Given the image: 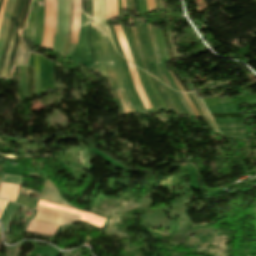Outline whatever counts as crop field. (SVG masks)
Here are the masks:
<instances>
[{
    "mask_svg": "<svg viewBox=\"0 0 256 256\" xmlns=\"http://www.w3.org/2000/svg\"><path fill=\"white\" fill-rule=\"evenodd\" d=\"M34 220L41 221V222L48 223V224L57 225V226H60L63 224H68V223H73V222H78L76 220L53 216V215H49V214H44V213H40L38 211H37V214H36Z\"/></svg>",
    "mask_w": 256,
    "mask_h": 256,
    "instance_id": "e52e79f7",
    "label": "crop field"
},
{
    "mask_svg": "<svg viewBox=\"0 0 256 256\" xmlns=\"http://www.w3.org/2000/svg\"><path fill=\"white\" fill-rule=\"evenodd\" d=\"M151 3H152V10H153V11L156 10L154 0H151Z\"/></svg>",
    "mask_w": 256,
    "mask_h": 256,
    "instance_id": "1d83c4d3",
    "label": "crop field"
},
{
    "mask_svg": "<svg viewBox=\"0 0 256 256\" xmlns=\"http://www.w3.org/2000/svg\"><path fill=\"white\" fill-rule=\"evenodd\" d=\"M72 22H73V0H70V17H69V29H68V37H67V43H66V48L63 56L65 57L70 41H71V35H72Z\"/></svg>",
    "mask_w": 256,
    "mask_h": 256,
    "instance_id": "d9b57169",
    "label": "crop field"
},
{
    "mask_svg": "<svg viewBox=\"0 0 256 256\" xmlns=\"http://www.w3.org/2000/svg\"><path fill=\"white\" fill-rule=\"evenodd\" d=\"M170 74H171V77H172L173 81L175 82L177 87L180 89V91H183L181 86H180V84H179V82H178V80L176 79L175 75L173 74V72H170Z\"/></svg>",
    "mask_w": 256,
    "mask_h": 256,
    "instance_id": "eef30255",
    "label": "crop field"
},
{
    "mask_svg": "<svg viewBox=\"0 0 256 256\" xmlns=\"http://www.w3.org/2000/svg\"><path fill=\"white\" fill-rule=\"evenodd\" d=\"M91 36L94 51L96 53L98 72L103 76H111L116 88L118 97L121 101L122 109L125 114L135 112L128 97L123 89L121 78L115 65L114 57L111 52L108 38L98 28L91 23Z\"/></svg>",
    "mask_w": 256,
    "mask_h": 256,
    "instance_id": "8a807250",
    "label": "crop field"
},
{
    "mask_svg": "<svg viewBox=\"0 0 256 256\" xmlns=\"http://www.w3.org/2000/svg\"><path fill=\"white\" fill-rule=\"evenodd\" d=\"M7 204H8V202L6 201L5 204H4V206H3V208H2V210H1V212H0V217H1V214H2L4 208H5V206H6Z\"/></svg>",
    "mask_w": 256,
    "mask_h": 256,
    "instance_id": "120bbe31",
    "label": "crop field"
},
{
    "mask_svg": "<svg viewBox=\"0 0 256 256\" xmlns=\"http://www.w3.org/2000/svg\"><path fill=\"white\" fill-rule=\"evenodd\" d=\"M22 4H23V0H21L19 12H18V15H17V17H16V19H15V23H14V27H13L11 39H10L9 46H8V50H7V54H6V59H5V64H4V70H3L2 79H4L5 76H6L9 54H10V51H11V49H12V45H13V41H14V36H15L16 27H17V23H18V20H19V16H20Z\"/></svg>",
    "mask_w": 256,
    "mask_h": 256,
    "instance_id": "3316defc",
    "label": "crop field"
},
{
    "mask_svg": "<svg viewBox=\"0 0 256 256\" xmlns=\"http://www.w3.org/2000/svg\"><path fill=\"white\" fill-rule=\"evenodd\" d=\"M16 0H7V4L4 10L1 27H0V57L5 43L10 18L13 10V6Z\"/></svg>",
    "mask_w": 256,
    "mask_h": 256,
    "instance_id": "f4fd0767",
    "label": "crop field"
},
{
    "mask_svg": "<svg viewBox=\"0 0 256 256\" xmlns=\"http://www.w3.org/2000/svg\"><path fill=\"white\" fill-rule=\"evenodd\" d=\"M6 4V0L3 1L2 7H1V11H0V22H1V18H2V14H3V10Z\"/></svg>",
    "mask_w": 256,
    "mask_h": 256,
    "instance_id": "ae1a2a85",
    "label": "crop field"
},
{
    "mask_svg": "<svg viewBox=\"0 0 256 256\" xmlns=\"http://www.w3.org/2000/svg\"><path fill=\"white\" fill-rule=\"evenodd\" d=\"M86 35H87V45L91 54L93 66H94V72L97 71V65H96V59L95 54L93 52L92 43H91V37H90V20L86 18Z\"/></svg>",
    "mask_w": 256,
    "mask_h": 256,
    "instance_id": "22f410ed",
    "label": "crop field"
},
{
    "mask_svg": "<svg viewBox=\"0 0 256 256\" xmlns=\"http://www.w3.org/2000/svg\"><path fill=\"white\" fill-rule=\"evenodd\" d=\"M146 25L148 27V30H149V33H150V37H151V40H152V43H153V46H154L156 60H157V64H158L160 73H161V75H162L166 85H168V86H170L172 88L171 84L169 83V81H168V79H167V77H166V75H165V73H164V71H163V69L161 67L160 60H159V55H158V50H157V46H156V42H155V39H154V35H153V32H152L151 25H149V24H146Z\"/></svg>",
    "mask_w": 256,
    "mask_h": 256,
    "instance_id": "d1516ede",
    "label": "crop field"
},
{
    "mask_svg": "<svg viewBox=\"0 0 256 256\" xmlns=\"http://www.w3.org/2000/svg\"><path fill=\"white\" fill-rule=\"evenodd\" d=\"M131 29H132V32H133L134 37H135V41H136V44H137L138 51H139V53H140V57H141L143 69L146 71V67H145V63H144L143 56H142V53H141L140 45H139V42H138V39H137V35H136V33H135L134 28H131Z\"/></svg>",
    "mask_w": 256,
    "mask_h": 256,
    "instance_id": "a9b5d70f",
    "label": "crop field"
},
{
    "mask_svg": "<svg viewBox=\"0 0 256 256\" xmlns=\"http://www.w3.org/2000/svg\"><path fill=\"white\" fill-rule=\"evenodd\" d=\"M29 51L27 50L26 46L19 41L14 65H22L26 66L27 58H28Z\"/></svg>",
    "mask_w": 256,
    "mask_h": 256,
    "instance_id": "5a996713",
    "label": "crop field"
},
{
    "mask_svg": "<svg viewBox=\"0 0 256 256\" xmlns=\"http://www.w3.org/2000/svg\"><path fill=\"white\" fill-rule=\"evenodd\" d=\"M93 13H94V24L97 25L101 30H103L114 43L108 24L106 22L104 0H93Z\"/></svg>",
    "mask_w": 256,
    "mask_h": 256,
    "instance_id": "34b2d1b8",
    "label": "crop field"
},
{
    "mask_svg": "<svg viewBox=\"0 0 256 256\" xmlns=\"http://www.w3.org/2000/svg\"><path fill=\"white\" fill-rule=\"evenodd\" d=\"M18 207H19V205L12 204V203L9 202V204H8L4 214H3L2 220H1V223H2L3 228H4V233L8 232L9 225H10Z\"/></svg>",
    "mask_w": 256,
    "mask_h": 256,
    "instance_id": "d8731c3e",
    "label": "crop field"
},
{
    "mask_svg": "<svg viewBox=\"0 0 256 256\" xmlns=\"http://www.w3.org/2000/svg\"><path fill=\"white\" fill-rule=\"evenodd\" d=\"M150 78H151L153 84L155 85V87H156V89H157V91H158V93H159V95H160V97H161L163 103L165 104L167 110H168V111H172V109L170 108V106H169L168 103L166 102V100H165V98H164V96H163L161 90L159 89L158 85L156 84L154 78L151 77V76H150Z\"/></svg>",
    "mask_w": 256,
    "mask_h": 256,
    "instance_id": "214f88e0",
    "label": "crop field"
},
{
    "mask_svg": "<svg viewBox=\"0 0 256 256\" xmlns=\"http://www.w3.org/2000/svg\"><path fill=\"white\" fill-rule=\"evenodd\" d=\"M138 25H139V27H140V31H141V33H142V36H143V39H144V42H145V46H146L147 53H148V59H149V63H150V66H151L153 75H154V77L157 78L156 73H155V70H154V67H153V64H152V59H151L150 51H149L148 44H147V41H146V37H145V35H144L143 29H142V27H141V24H138Z\"/></svg>",
    "mask_w": 256,
    "mask_h": 256,
    "instance_id": "bc2a9ffb",
    "label": "crop field"
},
{
    "mask_svg": "<svg viewBox=\"0 0 256 256\" xmlns=\"http://www.w3.org/2000/svg\"><path fill=\"white\" fill-rule=\"evenodd\" d=\"M182 95L185 98L186 102L188 103L189 107L191 108L192 112L194 113L195 117H200L199 114L197 113V111L195 110V108L193 107V105L191 104L190 100L186 96V94L182 93Z\"/></svg>",
    "mask_w": 256,
    "mask_h": 256,
    "instance_id": "4177f3b9",
    "label": "crop field"
},
{
    "mask_svg": "<svg viewBox=\"0 0 256 256\" xmlns=\"http://www.w3.org/2000/svg\"><path fill=\"white\" fill-rule=\"evenodd\" d=\"M1 175V174H0Z\"/></svg>",
    "mask_w": 256,
    "mask_h": 256,
    "instance_id": "028f5c9d",
    "label": "crop field"
},
{
    "mask_svg": "<svg viewBox=\"0 0 256 256\" xmlns=\"http://www.w3.org/2000/svg\"><path fill=\"white\" fill-rule=\"evenodd\" d=\"M155 80H156V79H155ZM156 81H157V83L159 84V86H160V88H161L163 94L165 95V97H166V99H167L169 105L172 107V109H173V111L175 112V114H179L178 111L175 109V107H174L172 101L170 100L169 96L167 95L166 91L164 90V88H163L162 84L160 83V81H158V80H156Z\"/></svg>",
    "mask_w": 256,
    "mask_h": 256,
    "instance_id": "00972430",
    "label": "crop field"
},
{
    "mask_svg": "<svg viewBox=\"0 0 256 256\" xmlns=\"http://www.w3.org/2000/svg\"><path fill=\"white\" fill-rule=\"evenodd\" d=\"M41 200L49 201L52 203H55L57 205L73 208L75 210H79L65 202L64 199H62L56 190L54 184H52L49 180L46 181L45 186L43 188ZM81 211V210H79Z\"/></svg>",
    "mask_w": 256,
    "mask_h": 256,
    "instance_id": "412701ff",
    "label": "crop field"
},
{
    "mask_svg": "<svg viewBox=\"0 0 256 256\" xmlns=\"http://www.w3.org/2000/svg\"><path fill=\"white\" fill-rule=\"evenodd\" d=\"M22 179H23V177H20V176H12V175L3 174L1 181L21 185Z\"/></svg>",
    "mask_w": 256,
    "mask_h": 256,
    "instance_id": "4a817a6b",
    "label": "crop field"
},
{
    "mask_svg": "<svg viewBox=\"0 0 256 256\" xmlns=\"http://www.w3.org/2000/svg\"><path fill=\"white\" fill-rule=\"evenodd\" d=\"M19 2H20V0L16 1V5H15V8H14V12H13V15H12V19H11V23H10L7 39H6V44H5V47H4V50H3V54H2V58H1V63H0V79H1V76H2L4 58H5V54H6V50H7V46H8V42H9V38H10V34H11V30H12V26H13V22H14V19H15L16 15H17Z\"/></svg>",
    "mask_w": 256,
    "mask_h": 256,
    "instance_id": "28ad6ade",
    "label": "crop field"
},
{
    "mask_svg": "<svg viewBox=\"0 0 256 256\" xmlns=\"http://www.w3.org/2000/svg\"><path fill=\"white\" fill-rule=\"evenodd\" d=\"M90 19L93 21V14H92V0H90Z\"/></svg>",
    "mask_w": 256,
    "mask_h": 256,
    "instance_id": "750c4746",
    "label": "crop field"
},
{
    "mask_svg": "<svg viewBox=\"0 0 256 256\" xmlns=\"http://www.w3.org/2000/svg\"><path fill=\"white\" fill-rule=\"evenodd\" d=\"M2 1H3V0H0V7H1Z\"/></svg>",
    "mask_w": 256,
    "mask_h": 256,
    "instance_id": "5866460e",
    "label": "crop field"
},
{
    "mask_svg": "<svg viewBox=\"0 0 256 256\" xmlns=\"http://www.w3.org/2000/svg\"><path fill=\"white\" fill-rule=\"evenodd\" d=\"M81 10L89 18V0H81Z\"/></svg>",
    "mask_w": 256,
    "mask_h": 256,
    "instance_id": "dafd665d",
    "label": "crop field"
},
{
    "mask_svg": "<svg viewBox=\"0 0 256 256\" xmlns=\"http://www.w3.org/2000/svg\"><path fill=\"white\" fill-rule=\"evenodd\" d=\"M78 45H80L82 48H84L86 51H88L87 46H86V36H85V16L83 15L82 12H81V31H80Z\"/></svg>",
    "mask_w": 256,
    "mask_h": 256,
    "instance_id": "5142ce71",
    "label": "crop field"
},
{
    "mask_svg": "<svg viewBox=\"0 0 256 256\" xmlns=\"http://www.w3.org/2000/svg\"><path fill=\"white\" fill-rule=\"evenodd\" d=\"M111 19L117 17V0H110Z\"/></svg>",
    "mask_w": 256,
    "mask_h": 256,
    "instance_id": "92a150f3",
    "label": "crop field"
},
{
    "mask_svg": "<svg viewBox=\"0 0 256 256\" xmlns=\"http://www.w3.org/2000/svg\"><path fill=\"white\" fill-rule=\"evenodd\" d=\"M29 5H30V0H25L24 5H23V9H22V12H21V16H20L17 31L21 30V29H24V23L26 21ZM18 41H19V36L16 32L15 41H14V45H13V49H12V53H11V57H10V61H9V66H8V71H7L6 78H9V75H10V72H11V68H12L14 57H15Z\"/></svg>",
    "mask_w": 256,
    "mask_h": 256,
    "instance_id": "dd49c442",
    "label": "crop field"
},
{
    "mask_svg": "<svg viewBox=\"0 0 256 256\" xmlns=\"http://www.w3.org/2000/svg\"><path fill=\"white\" fill-rule=\"evenodd\" d=\"M134 5H135L136 14H138L139 13L138 0H134Z\"/></svg>",
    "mask_w": 256,
    "mask_h": 256,
    "instance_id": "d3111659",
    "label": "crop field"
},
{
    "mask_svg": "<svg viewBox=\"0 0 256 256\" xmlns=\"http://www.w3.org/2000/svg\"><path fill=\"white\" fill-rule=\"evenodd\" d=\"M135 29H136V32H137V35H138V38H139V42H140V45H141V49H142L144 60H145L146 66H147V70H148L149 74H151V70H150V67H149V64H148V60H147V56H146L145 46H144V43H143V40H142V37H141V34H140L138 26H136Z\"/></svg>",
    "mask_w": 256,
    "mask_h": 256,
    "instance_id": "733c2abd",
    "label": "crop field"
},
{
    "mask_svg": "<svg viewBox=\"0 0 256 256\" xmlns=\"http://www.w3.org/2000/svg\"><path fill=\"white\" fill-rule=\"evenodd\" d=\"M191 93H192L193 97L195 98V100L197 101V103L200 106V108L202 109V111H203V113H204V115H205V117H206V119H207V121H208V123H209V125H210V127L212 129V131L218 132L216 127L213 124L212 118L208 114V112H207L205 106L202 104L200 98L197 96V94L195 92H191Z\"/></svg>",
    "mask_w": 256,
    "mask_h": 256,
    "instance_id": "cbeb9de0",
    "label": "crop field"
},
{
    "mask_svg": "<svg viewBox=\"0 0 256 256\" xmlns=\"http://www.w3.org/2000/svg\"><path fill=\"white\" fill-rule=\"evenodd\" d=\"M147 8H148V12L152 11L151 10L150 0H147Z\"/></svg>",
    "mask_w": 256,
    "mask_h": 256,
    "instance_id": "bd1437ed",
    "label": "crop field"
},
{
    "mask_svg": "<svg viewBox=\"0 0 256 256\" xmlns=\"http://www.w3.org/2000/svg\"><path fill=\"white\" fill-rule=\"evenodd\" d=\"M69 0H58V22L53 50L63 54L68 28Z\"/></svg>",
    "mask_w": 256,
    "mask_h": 256,
    "instance_id": "ac0d7876",
    "label": "crop field"
},
{
    "mask_svg": "<svg viewBox=\"0 0 256 256\" xmlns=\"http://www.w3.org/2000/svg\"><path fill=\"white\" fill-rule=\"evenodd\" d=\"M187 95L189 96L190 100L192 101V103L194 104V106L196 107V109L198 110L200 116L203 117V114H202L200 108L198 107V105L196 104V102L194 101V99H193L191 93H187Z\"/></svg>",
    "mask_w": 256,
    "mask_h": 256,
    "instance_id": "730fd06b",
    "label": "crop field"
},
{
    "mask_svg": "<svg viewBox=\"0 0 256 256\" xmlns=\"http://www.w3.org/2000/svg\"><path fill=\"white\" fill-rule=\"evenodd\" d=\"M155 3H156L157 9H160L159 4H158V0H155Z\"/></svg>",
    "mask_w": 256,
    "mask_h": 256,
    "instance_id": "d32e631a",
    "label": "crop field"
}]
</instances>
